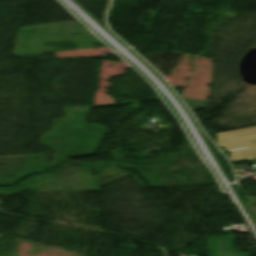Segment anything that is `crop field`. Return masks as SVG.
I'll use <instances>...</instances> for the list:
<instances>
[{"mask_svg": "<svg viewBox=\"0 0 256 256\" xmlns=\"http://www.w3.org/2000/svg\"><path fill=\"white\" fill-rule=\"evenodd\" d=\"M210 256H248L234 250V236L208 237Z\"/></svg>", "mask_w": 256, "mask_h": 256, "instance_id": "8a807250", "label": "crop field"}]
</instances>
